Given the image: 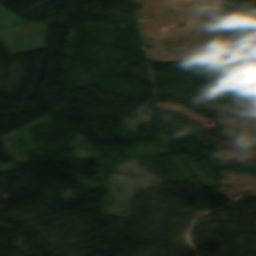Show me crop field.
Here are the masks:
<instances>
[{"instance_id":"obj_1","label":"crop field","mask_w":256,"mask_h":256,"mask_svg":"<svg viewBox=\"0 0 256 256\" xmlns=\"http://www.w3.org/2000/svg\"><path fill=\"white\" fill-rule=\"evenodd\" d=\"M46 25L28 23L0 28V38L2 44L19 40L31 39L44 36Z\"/></svg>"},{"instance_id":"obj_2","label":"crop field","mask_w":256,"mask_h":256,"mask_svg":"<svg viewBox=\"0 0 256 256\" xmlns=\"http://www.w3.org/2000/svg\"><path fill=\"white\" fill-rule=\"evenodd\" d=\"M44 39L45 37H42V38H37L32 40L8 43V44H5L4 46L8 49V51L11 54L28 52V51L44 48L45 46Z\"/></svg>"},{"instance_id":"obj_3","label":"crop field","mask_w":256,"mask_h":256,"mask_svg":"<svg viewBox=\"0 0 256 256\" xmlns=\"http://www.w3.org/2000/svg\"><path fill=\"white\" fill-rule=\"evenodd\" d=\"M20 22H24V20L9 11L8 9L4 8L3 6H0V26Z\"/></svg>"}]
</instances>
